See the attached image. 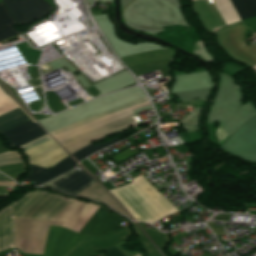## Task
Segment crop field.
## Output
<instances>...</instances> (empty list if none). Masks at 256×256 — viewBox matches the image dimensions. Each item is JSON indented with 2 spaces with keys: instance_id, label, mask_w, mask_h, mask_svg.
Returning <instances> with one entry per match:
<instances>
[{
  "instance_id": "crop-field-1",
  "label": "crop field",
  "mask_w": 256,
  "mask_h": 256,
  "mask_svg": "<svg viewBox=\"0 0 256 256\" xmlns=\"http://www.w3.org/2000/svg\"><path fill=\"white\" fill-rule=\"evenodd\" d=\"M72 199L30 191L0 211V251L13 247V218L53 221Z\"/></svg>"
},
{
  "instance_id": "crop-field-2",
  "label": "crop field",
  "mask_w": 256,
  "mask_h": 256,
  "mask_svg": "<svg viewBox=\"0 0 256 256\" xmlns=\"http://www.w3.org/2000/svg\"><path fill=\"white\" fill-rule=\"evenodd\" d=\"M134 220L155 222L176 209L142 176L131 184L110 190Z\"/></svg>"
},
{
  "instance_id": "crop-field-3",
  "label": "crop field",
  "mask_w": 256,
  "mask_h": 256,
  "mask_svg": "<svg viewBox=\"0 0 256 256\" xmlns=\"http://www.w3.org/2000/svg\"><path fill=\"white\" fill-rule=\"evenodd\" d=\"M85 238L66 228L50 226L43 256H65Z\"/></svg>"
},
{
  "instance_id": "crop-field-4",
  "label": "crop field",
  "mask_w": 256,
  "mask_h": 256,
  "mask_svg": "<svg viewBox=\"0 0 256 256\" xmlns=\"http://www.w3.org/2000/svg\"><path fill=\"white\" fill-rule=\"evenodd\" d=\"M18 24H26L53 9L44 0H2Z\"/></svg>"
},
{
  "instance_id": "crop-field-5",
  "label": "crop field",
  "mask_w": 256,
  "mask_h": 256,
  "mask_svg": "<svg viewBox=\"0 0 256 256\" xmlns=\"http://www.w3.org/2000/svg\"><path fill=\"white\" fill-rule=\"evenodd\" d=\"M124 221V219L100 206L79 233L86 236L100 237L122 228L123 226L120 224Z\"/></svg>"
},
{
  "instance_id": "crop-field-6",
  "label": "crop field",
  "mask_w": 256,
  "mask_h": 256,
  "mask_svg": "<svg viewBox=\"0 0 256 256\" xmlns=\"http://www.w3.org/2000/svg\"><path fill=\"white\" fill-rule=\"evenodd\" d=\"M93 183H95V181L86 173L72 170L43 186L76 195L79 191Z\"/></svg>"
},
{
  "instance_id": "crop-field-7",
  "label": "crop field",
  "mask_w": 256,
  "mask_h": 256,
  "mask_svg": "<svg viewBox=\"0 0 256 256\" xmlns=\"http://www.w3.org/2000/svg\"><path fill=\"white\" fill-rule=\"evenodd\" d=\"M45 134L46 133L31 120L1 133L12 147L20 146Z\"/></svg>"
},
{
  "instance_id": "crop-field-8",
  "label": "crop field",
  "mask_w": 256,
  "mask_h": 256,
  "mask_svg": "<svg viewBox=\"0 0 256 256\" xmlns=\"http://www.w3.org/2000/svg\"><path fill=\"white\" fill-rule=\"evenodd\" d=\"M76 165L77 163L70 157L59 162L50 170L30 165L31 173L25 178L24 181H37L33 183V185H40L67 171L72 170Z\"/></svg>"
},
{
  "instance_id": "crop-field-9",
  "label": "crop field",
  "mask_w": 256,
  "mask_h": 256,
  "mask_svg": "<svg viewBox=\"0 0 256 256\" xmlns=\"http://www.w3.org/2000/svg\"><path fill=\"white\" fill-rule=\"evenodd\" d=\"M67 156L68 155L57 144H55L29 157V160L31 164L49 169Z\"/></svg>"
},
{
  "instance_id": "crop-field-10",
  "label": "crop field",
  "mask_w": 256,
  "mask_h": 256,
  "mask_svg": "<svg viewBox=\"0 0 256 256\" xmlns=\"http://www.w3.org/2000/svg\"><path fill=\"white\" fill-rule=\"evenodd\" d=\"M16 21L11 16L7 8L0 2V41L18 34L13 28L12 24Z\"/></svg>"
},
{
  "instance_id": "crop-field-11",
  "label": "crop field",
  "mask_w": 256,
  "mask_h": 256,
  "mask_svg": "<svg viewBox=\"0 0 256 256\" xmlns=\"http://www.w3.org/2000/svg\"><path fill=\"white\" fill-rule=\"evenodd\" d=\"M29 120L19 108L0 116V133Z\"/></svg>"
},
{
  "instance_id": "crop-field-12",
  "label": "crop field",
  "mask_w": 256,
  "mask_h": 256,
  "mask_svg": "<svg viewBox=\"0 0 256 256\" xmlns=\"http://www.w3.org/2000/svg\"><path fill=\"white\" fill-rule=\"evenodd\" d=\"M240 20L256 16V0H231Z\"/></svg>"
},
{
  "instance_id": "crop-field-13",
  "label": "crop field",
  "mask_w": 256,
  "mask_h": 256,
  "mask_svg": "<svg viewBox=\"0 0 256 256\" xmlns=\"http://www.w3.org/2000/svg\"><path fill=\"white\" fill-rule=\"evenodd\" d=\"M48 139H50V136L47 134V135H45V136H43V137H41L39 139H36V140H34V141L30 142V143H27V144L21 146L20 148L22 149V151H24V150H26V149H28L30 147H33V146H35V145H37V144H39L41 142H44V141L48 140ZM53 144H55V142L52 139H50V140H48V141H46L44 143H41V144H39V145H37V146H35L33 148H30V149L24 151V153H26L28 156H30V155H32V154H34V153H36V152H38L40 150H43V149H45V148H47V147H49V146H51Z\"/></svg>"
},
{
  "instance_id": "crop-field-14",
  "label": "crop field",
  "mask_w": 256,
  "mask_h": 256,
  "mask_svg": "<svg viewBox=\"0 0 256 256\" xmlns=\"http://www.w3.org/2000/svg\"><path fill=\"white\" fill-rule=\"evenodd\" d=\"M121 139H117V138H113L112 140L102 144V145H98V146H93V145H88L82 149H79L73 153H71V155L79 162L81 159L93 154L94 152L103 149L105 147H108L118 141H120Z\"/></svg>"
},
{
  "instance_id": "crop-field-15",
  "label": "crop field",
  "mask_w": 256,
  "mask_h": 256,
  "mask_svg": "<svg viewBox=\"0 0 256 256\" xmlns=\"http://www.w3.org/2000/svg\"><path fill=\"white\" fill-rule=\"evenodd\" d=\"M17 108L14 102L0 89V115Z\"/></svg>"
},
{
  "instance_id": "crop-field-16",
  "label": "crop field",
  "mask_w": 256,
  "mask_h": 256,
  "mask_svg": "<svg viewBox=\"0 0 256 256\" xmlns=\"http://www.w3.org/2000/svg\"><path fill=\"white\" fill-rule=\"evenodd\" d=\"M20 162L19 156L14 152L0 154V165L12 164Z\"/></svg>"
},
{
  "instance_id": "crop-field-17",
  "label": "crop field",
  "mask_w": 256,
  "mask_h": 256,
  "mask_svg": "<svg viewBox=\"0 0 256 256\" xmlns=\"http://www.w3.org/2000/svg\"><path fill=\"white\" fill-rule=\"evenodd\" d=\"M202 71H206V70L203 69V68H201V69L196 70V71H194V72H202ZM194 72H192V73H194ZM173 74H174V75H178V74H186V73H180V72H176V71L173 70Z\"/></svg>"
},
{
  "instance_id": "crop-field-18",
  "label": "crop field",
  "mask_w": 256,
  "mask_h": 256,
  "mask_svg": "<svg viewBox=\"0 0 256 256\" xmlns=\"http://www.w3.org/2000/svg\"><path fill=\"white\" fill-rule=\"evenodd\" d=\"M0 181H10V180L0 175Z\"/></svg>"
},
{
  "instance_id": "crop-field-19",
  "label": "crop field",
  "mask_w": 256,
  "mask_h": 256,
  "mask_svg": "<svg viewBox=\"0 0 256 256\" xmlns=\"http://www.w3.org/2000/svg\"><path fill=\"white\" fill-rule=\"evenodd\" d=\"M10 193H3V192H0V196H6L8 197Z\"/></svg>"
},
{
  "instance_id": "crop-field-20",
  "label": "crop field",
  "mask_w": 256,
  "mask_h": 256,
  "mask_svg": "<svg viewBox=\"0 0 256 256\" xmlns=\"http://www.w3.org/2000/svg\"><path fill=\"white\" fill-rule=\"evenodd\" d=\"M135 256H139V254L135 255Z\"/></svg>"
}]
</instances>
